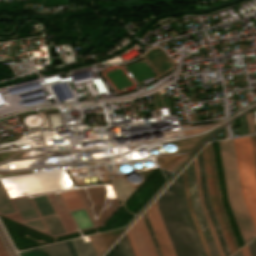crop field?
Returning <instances> with one entry per match:
<instances>
[{"instance_id":"1","label":"crop field","mask_w":256,"mask_h":256,"mask_svg":"<svg viewBox=\"0 0 256 256\" xmlns=\"http://www.w3.org/2000/svg\"><path fill=\"white\" fill-rule=\"evenodd\" d=\"M158 211L176 256H198L179 208L175 182L157 199Z\"/></svg>"},{"instance_id":"2","label":"crop field","mask_w":256,"mask_h":256,"mask_svg":"<svg viewBox=\"0 0 256 256\" xmlns=\"http://www.w3.org/2000/svg\"><path fill=\"white\" fill-rule=\"evenodd\" d=\"M243 201L256 230V172L250 138L233 139Z\"/></svg>"},{"instance_id":"3","label":"crop field","mask_w":256,"mask_h":256,"mask_svg":"<svg viewBox=\"0 0 256 256\" xmlns=\"http://www.w3.org/2000/svg\"><path fill=\"white\" fill-rule=\"evenodd\" d=\"M185 172H186L191 207L193 209L198 225L200 227V230L202 232V235L208 247L209 253L211 256H219L215 243L213 241L212 235L210 233L209 227L207 225L206 219L204 217L203 211L200 206L192 161L185 168Z\"/></svg>"},{"instance_id":"4","label":"crop field","mask_w":256,"mask_h":256,"mask_svg":"<svg viewBox=\"0 0 256 256\" xmlns=\"http://www.w3.org/2000/svg\"><path fill=\"white\" fill-rule=\"evenodd\" d=\"M175 182H176V188H177L180 208L182 210V213H183V216L185 218L186 224L188 226L189 232H190L191 237L193 239V242H194V245L196 247L197 253H198L199 256H206V253H205L204 248L202 246L201 240H200L199 235L197 233L196 227L194 225V222H193L192 217L190 215L189 209L187 207L181 173L175 179Z\"/></svg>"},{"instance_id":"5","label":"crop field","mask_w":256,"mask_h":256,"mask_svg":"<svg viewBox=\"0 0 256 256\" xmlns=\"http://www.w3.org/2000/svg\"><path fill=\"white\" fill-rule=\"evenodd\" d=\"M146 225V224H145ZM142 217L130 228L141 256H156Z\"/></svg>"},{"instance_id":"6","label":"crop field","mask_w":256,"mask_h":256,"mask_svg":"<svg viewBox=\"0 0 256 256\" xmlns=\"http://www.w3.org/2000/svg\"><path fill=\"white\" fill-rule=\"evenodd\" d=\"M197 158H198V164H199V170H200V176H201V182H202L205 205L207 207V210H208V213L210 215L211 221L213 223L216 234H217L218 239L220 241V244H221V247L223 249L224 255L229 256L230 253L228 251L225 240L223 238V235L221 233V230H220L219 225L217 223V220L215 218L214 212H213L212 207L210 205V200H209V194H208V188H207V182H206V176H205V170H204V164H203V158H202V152L201 151L197 155Z\"/></svg>"},{"instance_id":"7","label":"crop field","mask_w":256,"mask_h":256,"mask_svg":"<svg viewBox=\"0 0 256 256\" xmlns=\"http://www.w3.org/2000/svg\"><path fill=\"white\" fill-rule=\"evenodd\" d=\"M149 221L151 223V226L153 228L154 234L156 236L157 242L159 244V247L161 249L163 256H172V253L170 251V248L168 246V243L166 241V238L164 236V233L162 231V228L160 226V223L158 221V218L156 216V213L154 211L153 204L150 206V208L146 211Z\"/></svg>"},{"instance_id":"8","label":"crop field","mask_w":256,"mask_h":256,"mask_svg":"<svg viewBox=\"0 0 256 256\" xmlns=\"http://www.w3.org/2000/svg\"><path fill=\"white\" fill-rule=\"evenodd\" d=\"M193 162H194V168H195V174H196V179H197V185H198V190H199V196H200L201 206H202V208H203L204 214H205V216H206L207 222H208V224H209V227H210V230H211V232H212L213 238H214V240H215L216 246H217V248H218L219 254H220V256H224V255H223V252H222V249H221V247H220L219 241H218V239H217V236H216V234H215L214 228H213L212 223H211V221H210L209 215H208V213H207L206 207H205V205H204L196 157L193 159Z\"/></svg>"},{"instance_id":"9","label":"crop field","mask_w":256,"mask_h":256,"mask_svg":"<svg viewBox=\"0 0 256 256\" xmlns=\"http://www.w3.org/2000/svg\"><path fill=\"white\" fill-rule=\"evenodd\" d=\"M44 256H72L66 243H58L41 248Z\"/></svg>"},{"instance_id":"10","label":"crop field","mask_w":256,"mask_h":256,"mask_svg":"<svg viewBox=\"0 0 256 256\" xmlns=\"http://www.w3.org/2000/svg\"><path fill=\"white\" fill-rule=\"evenodd\" d=\"M79 256H97L90 241L84 242L82 238L71 240Z\"/></svg>"},{"instance_id":"11","label":"crop field","mask_w":256,"mask_h":256,"mask_svg":"<svg viewBox=\"0 0 256 256\" xmlns=\"http://www.w3.org/2000/svg\"><path fill=\"white\" fill-rule=\"evenodd\" d=\"M142 217H143L144 222H145V224H146L147 230H148V232H149V235H150V237H151V240H152V243H153V245H154V248H155V250H156L157 255H158V256H162V255H161V252H160V249H159V247H158V244H157V242H156L155 236H154V234H153L152 228H151L150 223H149V221H148V218H147L146 213H144V214L142 215Z\"/></svg>"},{"instance_id":"12","label":"crop field","mask_w":256,"mask_h":256,"mask_svg":"<svg viewBox=\"0 0 256 256\" xmlns=\"http://www.w3.org/2000/svg\"><path fill=\"white\" fill-rule=\"evenodd\" d=\"M18 254L19 256H43L39 248L20 251Z\"/></svg>"},{"instance_id":"13","label":"crop field","mask_w":256,"mask_h":256,"mask_svg":"<svg viewBox=\"0 0 256 256\" xmlns=\"http://www.w3.org/2000/svg\"><path fill=\"white\" fill-rule=\"evenodd\" d=\"M126 234H127L128 238H129V241H130V244H131V246H132V249H133V252H134L135 256H140L139 253H138V250H137V248H136V245H135V242H134V240H133V237H132V235H131L130 230H128V231L126 232Z\"/></svg>"},{"instance_id":"14","label":"crop field","mask_w":256,"mask_h":256,"mask_svg":"<svg viewBox=\"0 0 256 256\" xmlns=\"http://www.w3.org/2000/svg\"><path fill=\"white\" fill-rule=\"evenodd\" d=\"M154 206H155V211H156V213H157V216H158V218H159V221H160V223H161V226H162V228H163V231H164V233H165V236H166V238H167V241H168V243H169V246H170V248H171V245H170V242H169V240H168L167 234H166V232H165V229H164V227H163V224H162V221H161V219H160L159 213H158V211H157L156 201L154 202ZM171 251H172V253H173L172 248H171ZM173 256H175L174 253H173Z\"/></svg>"},{"instance_id":"15","label":"crop field","mask_w":256,"mask_h":256,"mask_svg":"<svg viewBox=\"0 0 256 256\" xmlns=\"http://www.w3.org/2000/svg\"><path fill=\"white\" fill-rule=\"evenodd\" d=\"M247 246L249 248L251 256H256V247H255L254 242L247 244Z\"/></svg>"},{"instance_id":"16","label":"crop field","mask_w":256,"mask_h":256,"mask_svg":"<svg viewBox=\"0 0 256 256\" xmlns=\"http://www.w3.org/2000/svg\"><path fill=\"white\" fill-rule=\"evenodd\" d=\"M0 256H8L2 242L0 241Z\"/></svg>"},{"instance_id":"17","label":"crop field","mask_w":256,"mask_h":256,"mask_svg":"<svg viewBox=\"0 0 256 256\" xmlns=\"http://www.w3.org/2000/svg\"><path fill=\"white\" fill-rule=\"evenodd\" d=\"M243 256H250L247 246L241 249Z\"/></svg>"},{"instance_id":"18","label":"crop field","mask_w":256,"mask_h":256,"mask_svg":"<svg viewBox=\"0 0 256 256\" xmlns=\"http://www.w3.org/2000/svg\"><path fill=\"white\" fill-rule=\"evenodd\" d=\"M232 256H242V253H241V251H238L237 253H235V254L232 255Z\"/></svg>"}]
</instances>
